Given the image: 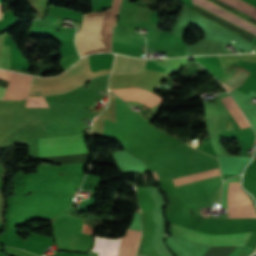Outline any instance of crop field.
Returning a JSON list of instances; mask_svg holds the SVG:
<instances>
[{
  "label": "crop field",
  "instance_id": "1",
  "mask_svg": "<svg viewBox=\"0 0 256 256\" xmlns=\"http://www.w3.org/2000/svg\"><path fill=\"white\" fill-rule=\"evenodd\" d=\"M121 0H113L111 9L101 13L93 12L83 15V25L76 36V46L80 56L91 53L111 52V35L116 26Z\"/></svg>",
  "mask_w": 256,
  "mask_h": 256
},
{
  "label": "crop field",
  "instance_id": "2",
  "mask_svg": "<svg viewBox=\"0 0 256 256\" xmlns=\"http://www.w3.org/2000/svg\"><path fill=\"white\" fill-rule=\"evenodd\" d=\"M198 7L224 19L225 21L253 34L256 36V25L227 11L226 9L208 1V0H191ZM222 2L244 12L245 14L256 19V8L241 0H221Z\"/></svg>",
  "mask_w": 256,
  "mask_h": 256
},
{
  "label": "crop field",
  "instance_id": "3",
  "mask_svg": "<svg viewBox=\"0 0 256 256\" xmlns=\"http://www.w3.org/2000/svg\"><path fill=\"white\" fill-rule=\"evenodd\" d=\"M88 152L83 135L39 139V159L45 156Z\"/></svg>",
  "mask_w": 256,
  "mask_h": 256
},
{
  "label": "crop field",
  "instance_id": "4",
  "mask_svg": "<svg viewBox=\"0 0 256 256\" xmlns=\"http://www.w3.org/2000/svg\"><path fill=\"white\" fill-rule=\"evenodd\" d=\"M169 225L173 235L210 246L245 245L248 238L252 234V232H249L241 234L211 236L204 233L191 231L179 226L171 224Z\"/></svg>",
  "mask_w": 256,
  "mask_h": 256
},
{
  "label": "crop field",
  "instance_id": "5",
  "mask_svg": "<svg viewBox=\"0 0 256 256\" xmlns=\"http://www.w3.org/2000/svg\"><path fill=\"white\" fill-rule=\"evenodd\" d=\"M229 218H256V211L247 195L240 189L239 183H229L228 193Z\"/></svg>",
  "mask_w": 256,
  "mask_h": 256
},
{
  "label": "crop field",
  "instance_id": "6",
  "mask_svg": "<svg viewBox=\"0 0 256 256\" xmlns=\"http://www.w3.org/2000/svg\"><path fill=\"white\" fill-rule=\"evenodd\" d=\"M30 76H25L11 72L10 83L7 87L3 100L17 99L23 100L27 96L28 87L31 81Z\"/></svg>",
  "mask_w": 256,
  "mask_h": 256
},
{
  "label": "crop field",
  "instance_id": "7",
  "mask_svg": "<svg viewBox=\"0 0 256 256\" xmlns=\"http://www.w3.org/2000/svg\"><path fill=\"white\" fill-rule=\"evenodd\" d=\"M145 65L146 60L116 55L111 74L137 75Z\"/></svg>",
  "mask_w": 256,
  "mask_h": 256
},
{
  "label": "crop field",
  "instance_id": "8",
  "mask_svg": "<svg viewBox=\"0 0 256 256\" xmlns=\"http://www.w3.org/2000/svg\"><path fill=\"white\" fill-rule=\"evenodd\" d=\"M141 232L128 229L125 236L119 238L117 256H134Z\"/></svg>",
  "mask_w": 256,
  "mask_h": 256
},
{
  "label": "crop field",
  "instance_id": "9",
  "mask_svg": "<svg viewBox=\"0 0 256 256\" xmlns=\"http://www.w3.org/2000/svg\"><path fill=\"white\" fill-rule=\"evenodd\" d=\"M237 67L236 66H231L229 71L226 73V75L221 78L219 81L220 83H224L225 81L229 80L232 73L235 71ZM250 72L242 69V68H237L236 71L233 73L231 79L227 81L226 83L222 84L229 92L237 89L242 85V83L245 81V79L248 77Z\"/></svg>",
  "mask_w": 256,
  "mask_h": 256
},
{
  "label": "crop field",
  "instance_id": "10",
  "mask_svg": "<svg viewBox=\"0 0 256 256\" xmlns=\"http://www.w3.org/2000/svg\"><path fill=\"white\" fill-rule=\"evenodd\" d=\"M221 102L224 104V106L229 111V113L232 114L233 118L238 123L240 129L250 126L247 119L239 110V108L237 107L236 103L233 101L231 96L221 99Z\"/></svg>",
  "mask_w": 256,
  "mask_h": 256
},
{
  "label": "crop field",
  "instance_id": "11",
  "mask_svg": "<svg viewBox=\"0 0 256 256\" xmlns=\"http://www.w3.org/2000/svg\"><path fill=\"white\" fill-rule=\"evenodd\" d=\"M218 175H220L219 170L215 169V170H211V171H207L199 174H194V175L174 179L173 182L175 186H178V185H182V184H186V183H190V182H194V181H198V180H202V179H206V178H210Z\"/></svg>",
  "mask_w": 256,
  "mask_h": 256
},
{
  "label": "crop field",
  "instance_id": "12",
  "mask_svg": "<svg viewBox=\"0 0 256 256\" xmlns=\"http://www.w3.org/2000/svg\"><path fill=\"white\" fill-rule=\"evenodd\" d=\"M138 201L141 209L156 210L152 190H139Z\"/></svg>",
  "mask_w": 256,
  "mask_h": 256
},
{
  "label": "crop field",
  "instance_id": "13",
  "mask_svg": "<svg viewBox=\"0 0 256 256\" xmlns=\"http://www.w3.org/2000/svg\"><path fill=\"white\" fill-rule=\"evenodd\" d=\"M255 251V249L246 247V246H237L230 254L229 256H248L252 254Z\"/></svg>",
  "mask_w": 256,
  "mask_h": 256
},
{
  "label": "crop field",
  "instance_id": "14",
  "mask_svg": "<svg viewBox=\"0 0 256 256\" xmlns=\"http://www.w3.org/2000/svg\"><path fill=\"white\" fill-rule=\"evenodd\" d=\"M0 78L8 81L10 78V72L0 70Z\"/></svg>",
  "mask_w": 256,
  "mask_h": 256
},
{
  "label": "crop field",
  "instance_id": "15",
  "mask_svg": "<svg viewBox=\"0 0 256 256\" xmlns=\"http://www.w3.org/2000/svg\"><path fill=\"white\" fill-rule=\"evenodd\" d=\"M5 90V88L0 87V100H2Z\"/></svg>",
  "mask_w": 256,
  "mask_h": 256
},
{
  "label": "crop field",
  "instance_id": "16",
  "mask_svg": "<svg viewBox=\"0 0 256 256\" xmlns=\"http://www.w3.org/2000/svg\"><path fill=\"white\" fill-rule=\"evenodd\" d=\"M2 5H3V4H0V20L2 19V15H3V13L1 12Z\"/></svg>",
  "mask_w": 256,
  "mask_h": 256
},
{
  "label": "crop field",
  "instance_id": "17",
  "mask_svg": "<svg viewBox=\"0 0 256 256\" xmlns=\"http://www.w3.org/2000/svg\"><path fill=\"white\" fill-rule=\"evenodd\" d=\"M140 256H142V255H140Z\"/></svg>",
  "mask_w": 256,
  "mask_h": 256
}]
</instances>
